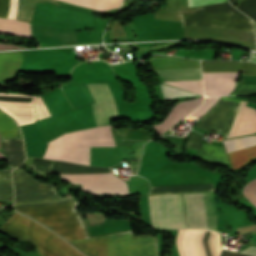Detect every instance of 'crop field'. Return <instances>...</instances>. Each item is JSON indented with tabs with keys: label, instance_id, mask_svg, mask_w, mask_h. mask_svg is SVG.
<instances>
[{
	"label": "crop field",
	"instance_id": "8a807250",
	"mask_svg": "<svg viewBox=\"0 0 256 256\" xmlns=\"http://www.w3.org/2000/svg\"><path fill=\"white\" fill-rule=\"evenodd\" d=\"M18 212L45 225L87 256H157V238L132 231L89 237L75 197L62 202L13 205Z\"/></svg>",
	"mask_w": 256,
	"mask_h": 256
},
{
	"label": "crop field",
	"instance_id": "22f410ed",
	"mask_svg": "<svg viewBox=\"0 0 256 256\" xmlns=\"http://www.w3.org/2000/svg\"><path fill=\"white\" fill-rule=\"evenodd\" d=\"M200 139H201V136L196 135L194 133H190L185 143V147L197 149L198 151L196 155L204 159H207L209 161L228 164L223 147L212 146V145L202 143L200 142Z\"/></svg>",
	"mask_w": 256,
	"mask_h": 256
},
{
	"label": "crop field",
	"instance_id": "d9b57169",
	"mask_svg": "<svg viewBox=\"0 0 256 256\" xmlns=\"http://www.w3.org/2000/svg\"><path fill=\"white\" fill-rule=\"evenodd\" d=\"M28 52L0 54V81L12 79L15 76Z\"/></svg>",
	"mask_w": 256,
	"mask_h": 256
},
{
	"label": "crop field",
	"instance_id": "bd1437ed",
	"mask_svg": "<svg viewBox=\"0 0 256 256\" xmlns=\"http://www.w3.org/2000/svg\"><path fill=\"white\" fill-rule=\"evenodd\" d=\"M0 158H5V157L0 153Z\"/></svg>",
	"mask_w": 256,
	"mask_h": 256
},
{
	"label": "crop field",
	"instance_id": "f4fd0767",
	"mask_svg": "<svg viewBox=\"0 0 256 256\" xmlns=\"http://www.w3.org/2000/svg\"><path fill=\"white\" fill-rule=\"evenodd\" d=\"M152 227L187 228L180 195L148 196Z\"/></svg>",
	"mask_w": 256,
	"mask_h": 256
},
{
	"label": "crop field",
	"instance_id": "3316defc",
	"mask_svg": "<svg viewBox=\"0 0 256 256\" xmlns=\"http://www.w3.org/2000/svg\"><path fill=\"white\" fill-rule=\"evenodd\" d=\"M226 152H232L235 150L243 149L256 145V135L236 138L232 140L223 141ZM230 166L232 169L238 168L243 164L256 157V146L239 150L236 152L228 153Z\"/></svg>",
	"mask_w": 256,
	"mask_h": 256
},
{
	"label": "crop field",
	"instance_id": "5142ce71",
	"mask_svg": "<svg viewBox=\"0 0 256 256\" xmlns=\"http://www.w3.org/2000/svg\"><path fill=\"white\" fill-rule=\"evenodd\" d=\"M203 72L243 71L242 75H256V65L245 62L201 61Z\"/></svg>",
	"mask_w": 256,
	"mask_h": 256
},
{
	"label": "crop field",
	"instance_id": "4177f3b9",
	"mask_svg": "<svg viewBox=\"0 0 256 256\" xmlns=\"http://www.w3.org/2000/svg\"><path fill=\"white\" fill-rule=\"evenodd\" d=\"M256 93V84H240L231 95H247Z\"/></svg>",
	"mask_w": 256,
	"mask_h": 256
},
{
	"label": "crop field",
	"instance_id": "5a996713",
	"mask_svg": "<svg viewBox=\"0 0 256 256\" xmlns=\"http://www.w3.org/2000/svg\"><path fill=\"white\" fill-rule=\"evenodd\" d=\"M64 136L66 147L114 146L108 126L73 131Z\"/></svg>",
	"mask_w": 256,
	"mask_h": 256
},
{
	"label": "crop field",
	"instance_id": "e52e79f7",
	"mask_svg": "<svg viewBox=\"0 0 256 256\" xmlns=\"http://www.w3.org/2000/svg\"><path fill=\"white\" fill-rule=\"evenodd\" d=\"M15 188V203L62 200L52 185L39 183L25 171L16 168L12 173Z\"/></svg>",
	"mask_w": 256,
	"mask_h": 256
},
{
	"label": "crop field",
	"instance_id": "00972430",
	"mask_svg": "<svg viewBox=\"0 0 256 256\" xmlns=\"http://www.w3.org/2000/svg\"><path fill=\"white\" fill-rule=\"evenodd\" d=\"M219 97H208L204 101V103L198 107L193 113L189 116L200 119L203 115H205L211 107L216 103Z\"/></svg>",
	"mask_w": 256,
	"mask_h": 256
},
{
	"label": "crop field",
	"instance_id": "4a817a6b",
	"mask_svg": "<svg viewBox=\"0 0 256 256\" xmlns=\"http://www.w3.org/2000/svg\"><path fill=\"white\" fill-rule=\"evenodd\" d=\"M157 72L165 81L201 79L200 68L167 69Z\"/></svg>",
	"mask_w": 256,
	"mask_h": 256
},
{
	"label": "crop field",
	"instance_id": "92a150f3",
	"mask_svg": "<svg viewBox=\"0 0 256 256\" xmlns=\"http://www.w3.org/2000/svg\"><path fill=\"white\" fill-rule=\"evenodd\" d=\"M17 124L14 119L0 110L1 138L16 137Z\"/></svg>",
	"mask_w": 256,
	"mask_h": 256
},
{
	"label": "crop field",
	"instance_id": "ac0d7876",
	"mask_svg": "<svg viewBox=\"0 0 256 256\" xmlns=\"http://www.w3.org/2000/svg\"><path fill=\"white\" fill-rule=\"evenodd\" d=\"M96 104L93 105V114L96 125L109 124L110 120L125 118L126 105L124 103L123 91L118 82L108 83V87L114 102L105 84H87ZM64 93L73 108L93 103L85 85L62 86Z\"/></svg>",
	"mask_w": 256,
	"mask_h": 256
},
{
	"label": "crop field",
	"instance_id": "ae1a2a85",
	"mask_svg": "<svg viewBox=\"0 0 256 256\" xmlns=\"http://www.w3.org/2000/svg\"><path fill=\"white\" fill-rule=\"evenodd\" d=\"M11 48H25V47L14 46V45H8V44H1V43H0V50H3V49H11Z\"/></svg>",
	"mask_w": 256,
	"mask_h": 256
},
{
	"label": "crop field",
	"instance_id": "eef30255",
	"mask_svg": "<svg viewBox=\"0 0 256 256\" xmlns=\"http://www.w3.org/2000/svg\"><path fill=\"white\" fill-rule=\"evenodd\" d=\"M240 254H245V255H249V256H256V247L250 246L244 250H242L241 252H239Z\"/></svg>",
	"mask_w": 256,
	"mask_h": 256
},
{
	"label": "crop field",
	"instance_id": "733c2abd",
	"mask_svg": "<svg viewBox=\"0 0 256 256\" xmlns=\"http://www.w3.org/2000/svg\"><path fill=\"white\" fill-rule=\"evenodd\" d=\"M1 148L10 167H17L24 161L25 153L21 138L2 140Z\"/></svg>",
	"mask_w": 256,
	"mask_h": 256
},
{
	"label": "crop field",
	"instance_id": "d3111659",
	"mask_svg": "<svg viewBox=\"0 0 256 256\" xmlns=\"http://www.w3.org/2000/svg\"><path fill=\"white\" fill-rule=\"evenodd\" d=\"M248 62L256 64V54L255 53H252L251 58Z\"/></svg>",
	"mask_w": 256,
	"mask_h": 256
},
{
	"label": "crop field",
	"instance_id": "28ad6ade",
	"mask_svg": "<svg viewBox=\"0 0 256 256\" xmlns=\"http://www.w3.org/2000/svg\"><path fill=\"white\" fill-rule=\"evenodd\" d=\"M65 152L67 161L90 165L86 147L65 148ZM65 152L64 137L61 135L47 142V148L42 157L47 159H58L66 161Z\"/></svg>",
	"mask_w": 256,
	"mask_h": 256
},
{
	"label": "crop field",
	"instance_id": "dafd665d",
	"mask_svg": "<svg viewBox=\"0 0 256 256\" xmlns=\"http://www.w3.org/2000/svg\"><path fill=\"white\" fill-rule=\"evenodd\" d=\"M12 0H0V17L9 18ZM18 0H13L11 16L14 19Z\"/></svg>",
	"mask_w": 256,
	"mask_h": 256
},
{
	"label": "crop field",
	"instance_id": "750c4746",
	"mask_svg": "<svg viewBox=\"0 0 256 256\" xmlns=\"http://www.w3.org/2000/svg\"><path fill=\"white\" fill-rule=\"evenodd\" d=\"M123 2L131 3V0H124Z\"/></svg>",
	"mask_w": 256,
	"mask_h": 256
},
{
	"label": "crop field",
	"instance_id": "a9b5d70f",
	"mask_svg": "<svg viewBox=\"0 0 256 256\" xmlns=\"http://www.w3.org/2000/svg\"><path fill=\"white\" fill-rule=\"evenodd\" d=\"M161 85V89L164 95V98H171V97H181V96H187V95H195L174 87H171L169 85L166 84H160Z\"/></svg>",
	"mask_w": 256,
	"mask_h": 256
},
{
	"label": "crop field",
	"instance_id": "214f88e0",
	"mask_svg": "<svg viewBox=\"0 0 256 256\" xmlns=\"http://www.w3.org/2000/svg\"><path fill=\"white\" fill-rule=\"evenodd\" d=\"M10 170H0V200L13 201L12 184L10 180Z\"/></svg>",
	"mask_w": 256,
	"mask_h": 256
},
{
	"label": "crop field",
	"instance_id": "cbeb9de0",
	"mask_svg": "<svg viewBox=\"0 0 256 256\" xmlns=\"http://www.w3.org/2000/svg\"><path fill=\"white\" fill-rule=\"evenodd\" d=\"M201 102L202 99H197L177 103L165 118L164 122L160 125H155L154 127L163 134L182 118L184 119L188 114H190L199 104H201Z\"/></svg>",
	"mask_w": 256,
	"mask_h": 256
},
{
	"label": "crop field",
	"instance_id": "bc2a9ffb",
	"mask_svg": "<svg viewBox=\"0 0 256 256\" xmlns=\"http://www.w3.org/2000/svg\"><path fill=\"white\" fill-rule=\"evenodd\" d=\"M74 5L83 6L99 11H114L122 0H62Z\"/></svg>",
	"mask_w": 256,
	"mask_h": 256
},
{
	"label": "crop field",
	"instance_id": "34b2d1b8",
	"mask_svg": "<svg viewBox=\"0 0 256 256\" xmlns=\"http://www.w3.org/2000/svg\"><path fill=\"white\" fill-rule=\"evenodd\" d=\"M236 99L221 97L213 108L195 125L197 128L208 130L213 128L229 135ZM246 102H237L234 119L229 137L256 133V109L244 106Z\"/></svg>",
	"mask_w": 256,
	"mask_h": 256
},
{
	"label": "crop field",
	"instance_id": "d1516ede",
	"mask_svg": "<svg viewBox=\"0 0 256 256\" xmlns=\"http://www.w3.org/2000/svg\"><path fill=\"white\" fill-rule=\"evenodd\" d=\"M239 72L203 73L205 95H227L235 85Z\"/></svg>",
	"mask_w": 256,
	"mask_h": 256
},
{
	"label": "crop field",
	"instance_id": "412701ff",
	"mask_svg": "<svg viewBox=\"0 0 256 256\" xmlns=\"http://www.w3.org/2000/svg\"><path fill=\"white\" fill-rule=\"evenodd\" d=\"M0 231L31 240L40 256H83L63 239L16 212L0 226Z\"/></svg>",
	"mask_w": 256,
	"mask_h": 256
},
{
	"label": "crop field",
	"instance_id": "dd49c442",
	"mask_svg": "<svg viewBox=\"0 0 256 256\" xmlns=\"http://www.w3.org/2000/svg\"><path fill=\"white\" fill-rule=\"evenodd\" d=\"M185 216L189 228H206L216 231L217 212L214 192L182 194Z\"/></svg>",
	"mask_w": 256,
	"mask_h": 256
},
{
	"label": "crop field",
	"instance_id": "730fd06b",
	"mask_svg": "<svg viewBox=\"0 0 256 256\" xmlns=\"http://www.w3.org/2000/svg\"><path fill=\"white\" fill-rule=\"evenodd\" d=\"M224 1L226 0H188V3H189V7H192V6L218 3V2H224Z\"/></svg>",
	"mask_w": 256,
	"mask_h": 256
},
{
	"label": "crop field",
	"instance_id": "d8731c3e",
	"mask_svg": "<svg viewBox=\"0 0 256 256\" xmlns=\"http://www.w3.org/2000/svg\"><path fill=\"white\" fill-rule=\"evenodd\" d=\"M61 179H65L74 184H93V183H115L125 182L113 174H70L59 173ZM85 192L92 194L113 195L128 194L126 183L115 184H93L82 185Z\"/></svg>",
	"mask_w": 256,
	"mask_h": 256
}]
</instances>
